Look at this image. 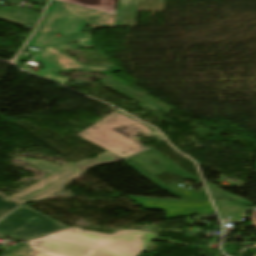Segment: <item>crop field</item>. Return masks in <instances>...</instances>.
Wrapping results in <instances>:
<instances>
[{"label":"crop field","instance_id":"obj_1","mask_svg":"<svg viewBox=\"0 0 256 256\" xmlns=\"http://www.w3.org/2000/svg\"><path fill=\"white\" fill-rule=\"evenodd\" d=\"M114 0H52L41 25L27 44L44 48L52 34L61 36L81 33L92 28L110 27Z\"/></svg>","mask_w":256,"mask_h":256},{"label":"crop field","instance_id":"obj_2","mask_svg":"<svg viewBox=\"0 0 256 256\" xmlns=\"http://www.w3.org/2000/svg\"><path fill=\"white\" fill-rule=\"evenodd\" d=\"M131 127L145 137L152 136L147 128L116 112L104 117L77 136L125 158L147 148L125 131Z\"/></svg>","mask_w":256,"mask_h":256},{"label":"crop field","instance_id":"obj_3","mask_svg":"<svg viewBox=\"0 0 256 256\" xmlns=\"http://www.w3.org/2000/svg\"><path fill=\"white\" fill-rule=\"evenodd\" d=\"M91 34L92 33L51 39L46 49L40 52L34 58L35 61L46 66L44 69L38 72L37 75L66 85L68 84L66 83V81L70 80L71 78L58 76L56 74L63 71H67V70H80V71L102 72L106 75H109L119 71V69L116 68L113 64L103 66V67L87 66L77 61L73 57L69 56L68 54L62 52L64 50L71 49V48H81L86 46H92L93 43L90 39ZM70 42H79L76 45H79V44L81 45H79L78 47H75V45H69L68 43ZM30 73H33V72H30Z\"/></svg>","mask_w":256,"mask_h":256},{"label":"crop field","instance_id":"obj_4","mask_svg":"<svg viewBox=\"0 0 256 256\" xmlns=\"http://www.w3.org/2000/svg\"><path fill=\"white\" fill-rule=\"evenodd\" d=\"M156 236L133 231L119 232L115 236L78 231L53 239L95 246L89 256H137Z\"/></svg>","mask_w":256,"mask_h":256},{"label":"crop field","instance_id":"obj_5","mask_svg":"<svg viewBox=\"0 0 256 256\" xmlns=\"http://www.w3.org/2000/svg\"><path fill=\"white\" fill-rule=\"evenodd\" d=\"M19 160L35 165L39 169L51 174L47 179L40 181L9 197L19 203L27 200L43 199L61 190L64 184H66L77 175H79L81 172H83L85 169H87L78 162L74 164L68 163L60 167L45 160H27L23 157Z\"/></svg>","mask_w":256,"mask_h":256},{"label":"crop field","instance_id":"obj_6","mask_svg":"<svg viewBox=\"0 0 256 256\" xmlns=\"http://www.w3.org/2000/svg\"><path fill=\"white\" fill-rule=\"evenodd\" d=\"M125 162L129 164L131 167H133L135 170H137L139 173H141L143 176H145L147 179H149L151 182L156 184L157 186L177 195L180 198L189 200V201H181V200L166 199V198L129 196V198L133 202L141 205L143 208L150 209V210L165 211L169 220L190 216V215H195V214L214 212L209 201L195 203L191 201L192 199L190 200L184 194L164 185L162 182H160L158 179H156L154 176H152L150 173H148L147 171L139 167L137 164H135L131 160L128 159V160H125ZM151 203H153L154 205H151Z\"/></svg>","mask_w":256,"mask_h":256},{"label":"crop field","instance_id":"obj_7","mask_svg":"<svg viewBox=\"0 0 256 256\" xmlns=\"http://www.w3.org/2000/svg\"><path fill=\"white\" fill-rule=\"evenodd\" d=\"M68 228L23 206L0 221V236H12L22 241Z\"/></svg>","mask_w":256,"mask_h":256},{"label":"crop field","instance_id":"obj_8","mask_svg":"<svg viewBox=\"0 0 256 256\" xmlns=\"http://www.w3.org/2000/svg\"><path fill=\"white\" fill-rule=\"evenodd\" d=\"M131 158L156 176L169 172L201 182L199 178L188 174L154 149L144 151Z\"/></svg>","mask_w":256,"mask_h":256},{"label":"crop field","instance_id":"obj_9","mask_svg":"<svg viewBox=\"0 0 256 256\" xmlns=\"http://www.w3.org/2000/svg\"><path fill=\"white\" fill-rule=\"evenodd\" d=\"M33 256H88L94 247L48 239L34 244Z\"/></svg>","mask_w":256,"mask_h":256},{"label":"crop field","instance_id":"obj_10","mask_svg":"<svg viewBox=\"0 0 256 256\" xmlns=\"http://www.w3.org/2000/svg\"><path fill=\"white\" fill-rule=\"evenodd\" d=\"M164 0H119L117 27L135 26L136 10L163 11Z\"/></svg>","mask_w":256,"mask_h":256},{"label":"crop field","instance_id":"obj_11","mask_svg":"<svg viewBox=\"0 0 256 256\" xmlns=\"http://www.w3.org/2000/svg\"><path fill=\"white\" fill-rule=\"evenodd\" d=\"M122 158L110 153V152H104L101 153L99 155H97L96 158L94 159H85L82 161H79L81 164H83L85 167H90L92 165H96V164H103V163H111V162H115L117 160H120Z\"/></svg>","mask_w":256,"mask_h":256},{"label":"crop field","instance_id":"obj_12","mask_svg":"<svg viewBox=\"0 0 256 256\" xmlns=\"http://www.w3.org/2000/svg\"><path fill=\"white\" fill-rule=\"evenodd\" d=\"M19 203L0 194V218L13 210Z\"/></svg>","mask_w":256,"mask_h":256},{"label":"crop field","instance_id":"obj_13","mask_svg":"<svg viewBox=\"0 0 256 256\" xmlns=\"http://www.w3.org/2000/svg\"><path fill=\"white\" fill-rule=\"evenodd\" d=\"M175 184H176V183L170 184L169 186H171V187H173V188H175V189H177V190L183 192L184 194L190 196V197H191L192 199H194L195 201H200V200L208 199V197H207V195H206V193H205V191H204L203 188L200 189V191H201L200 193H197L194 189L188 190V191H185V190H183V189H180V188H178Z\"/></svg>","mask_w":256,"mask_h":256},{"label":"crop field","instance_id":"obj_14","mask_svg":"<svg viewBox=\"0 0 256 256\" xmlns=\"http://www.w3.org/2000/svg\"><path fill=\"white\" fill-rule=\"evenodd\" d=\"M72 231H78V229L68 228V229H65V230H63V231H60V232H57V233H54V234H50V235H48V236H46V237H43V238L28 240L27 242H28V244L30 245V247H31V249H32L31 252H30V254H29V256H32V254H33V252H34L33 243L38 242V241H41V240L48 239V238H50V237H53V236H56V235H59V234H62V233L72 232ZM121 231H123V230H121ZM133 231H137V230H133ZM91 232H95V231H91ZM139 232H143V231H139ZM98 233H99V232H98ZM145 233H146V232H145ZM148 233H151V232H148ZM115 234H116V233H115ZM115 234H113V235H115ZM151 234H154V233H151Z\"/></svg>","mask_w":256,"mask_h":256},{"label":"crop field","instance_id":"obj_15","mask_svg":"<svg viewBox=\"0 0 256 256\" xmlns=\"http://www.w3.org/2000/svg\"><path fill=\"white\" fill-rule=\"evenodd\" d=\"M251 224L256 227V210H252L251 211V215H250V218H249Z\"/></svg>","mask_w":256,"mask_h":256},{"label":"crop field","instance_id":"obj_16","mask_svg":"<svg viewBox=\"0 0 256 256\" xmlns=\"http://www.w3.org/2000/svg\"><path fill=\"white\" fill-rule=\"evenodd\" d=\"M155 240L168 241L170 243L177 244V245L193 246V245H189V244H185V243H181V242H177V241H173V240L162 239V238H158V237Z\"/></svg>","mask_w":256,"mask_h":256},{"label":"crop field","instance_id":"obj_17","mask_svg":"<svg viewBox=\"0 0 256 256\" xmlns=\"http://www.w3.org/2000/svg\"><path fill=\"white\" fill-rule=\"evenodd\" d=\"M158 245L156 244H151L149 245L145 250H143L142 252H151L154 248H156ZM155 250V249H154Z\"/></svg>","mask_w":256,"mask_h":256},{"label":"crop field","instance_id":"obj_18","mask_svg":"<svg viewBox=\"0 0 256 256\" xmlns=\"http://www.w3.org/2000/svg\"><path fill=\"white\" fill-rule=\"evenodd\" d=\"M116 3H117V0H115V4H114V11H113V18H112V24H111V27H113V25H114L115 11H116Z\"/></svg>","mask_w":256,"mask_h":256},{"label":"crop field","instance_id":"obj_19","mask_svg":"<svg viewBox=\"0 0 256 256\" xmlns=\"http://www.w3.org/2000/svg\"><path fill=\"white\" fill-rule=\"evenodd\" d=\"M128 132L132 133L133 135L138 134L139 132H137L135 129L131 128L129 130H127Z\"/></svg>","mask_w":256,"mask_h":256},{"label":"crop field","instance_id":"obj_20","mask_svg":"<svg viewBox=\"0 0 256 256\" xmlns=\"http://www.w3.org/2000/svg\"><path fill=\"white\" fill-rule=\"evenodd\" d=\"M17 66H19V63L18 64H16ZM19 67H21V66H19ZM22 69H24L25 70V68H23V67H21Z\"/></svg>","mask_w":256,"mask_h":256},{"label":"crop field","instance_id":"obj_21","mask_svg":"<svg viewBox=\"0 0 256 256\" xmlns=\"http://www.w3.org/2000/svg\"><path fill=\"white\" fill-rule=\"evenodd\" d=\"M254 256H256V253L254 254Z\"/></svg>","mask_w":256,"mask_h":256}]
</instances>
